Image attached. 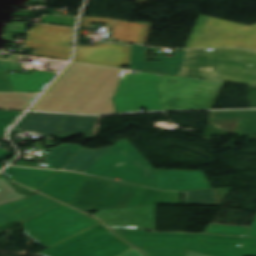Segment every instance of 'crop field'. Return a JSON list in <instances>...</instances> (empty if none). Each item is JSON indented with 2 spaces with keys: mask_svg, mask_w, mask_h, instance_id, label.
I'll list each match as a JSON object with an SVG mask.
<instances>
[{
  "mask_svg": "<svg viewBox=\"0 0 256 256\" xmlns=\"http://www.w3.org/2000/svg\"><path fill=\"white\" fill-rule=\"evenodd\" d=\"M66 115L27 112L13 130L36 131L42 135L61 137L59 127Z\"/></svg>",
  "mask_w": 256,
  "mask_h": 256,
  "instance_id": "733c2abd",
  "label": "crop field"
},
{
  "mask_svg": "<svg viewBox=\"0 0 256 256\" xmlns=\"http://www.w3.org/2000/svg\"><path fill=\"white\" fill-rule=\"evenodd\" d=\"M97 118L96 116L67 115L60 127V130L64 133L61 138L69 137L75 132H84L86 133V138H90Z\"/></svg>",
  "mask_w": 256,
  "mask_h": 256,
  "instance_id": "92a150f3",
  "label": "crop field"
},
{
  "mask_svg": "<svg viewBox=\"0 0 256 256\" xmlns=\"http://www.w3.org/2000/svg\"><path fill=\"white\" fill-rule=\"evenodd\" d=\"M186 256H205V255H201V254H197V253L187 251Z\"/></svg>",
  "mask_w": 256,
  "mask_h": 256,
  "instance_id": "750c4746",
  "label": "crop field"
},
{
  "mask_svg": "<svg viewBox=\"0 0 256 256\" xmlns=\"http://www.w3.org/2000/svg\"><path fill=\"white\" fill-rule=\"evenodd\" d=\"M147 256H185L184 250L142 249Z\"/></svg>",
  "mask_w": 256,
  "mask_h": 256,
  "instance_id": "eef30255",
  "label": "crop field"
},
{
  "mask_svg": "<svg viewBox=\"0 0 256 256\" xmlns=\"http://www.w3.org/2000/svg\"><path fill=\"white\" fill-rule=\"evenodd\" d=\"M84 45L78 43L74 61L115 67L128 65L131 49L129 43L104 40L103 43H97L96 47Z\"/></svg>",
  "mask_w": 256,
  "mask_h": 256,
  "instance_id": "28ad6ade",
  "label": "crop field"
},
{
  "mask_svg": "<svg viewBox=\"0 0 256 256\" xmlns=\"http://www.w3.org/2000/svg\"><path fill=\"white\" fill-rule=\"evenodd\" d=\"M121 256H144V254L140 253L139 251L132 249Z\"/></svg>",
  "mask_w": 256,
  "mask_h": 256,
  "instance_id": "d3111659",
  "label": "crop field"
},
{
  "mask_svg": "<svg viewBox=\"0 0 256 256\" xmlns=\"http://www.w3.org/2000/svg\"><path fill=\"white\" fill-rule=\"evenodd\" d=\"M69 112L87 114L115 113L111 99H91L76 97Z\"/></svg>",
  "mask_w": 256,
  "mask_h": 256,
  "instance_id": "214f88e0",
  "label": "crop field"
},
{
  "mask_svg": "<svg viewBox=\"0 0 256 256\" xmlns=\"http://www.w3.org/2000/svg\"><path fill=\"white\" fill-rule=\"evenodd\" d=\"M62 169L155 188L153 168L126 139L104 149L83 148Z\"/></svg>",
  "mask_w": 256,
  "mask_h": 256,
  "instance_id": "ac0d7876",
  "label": "crop field"
},
{
  "mask_svg": "<svg viewBox=\"0 0 256 256\" xmlns=\"http://www.w3.org/2000/svg\"><path fill=\"white\" fill-rule=\"evenodd\" d=\"M106 229V228H105ZM100 224L39 252L45 256H119L132 249L114 238Z\"/></svg>",
  "mask_w": 256,
  "mask_h": 256,
  "instance_id": "d8731c3e",
  "label": "crop field"
},
{
  "mask_svg": "<svg viewBox=\"0 0 256 256\" xmlns=\"http://www.w3.org/2000/svg\"><path fill=\"white\" fill-rule=\"evenodd\" d=\"M42 150L50 151L49 161L46 168L61 169L82 147L74 144H60L56 148L46 149L42 141L34 143Z\"/></svg>",
  "mask_w": 256,
  "mask_h": 256,
  "instance_id": "dafd665d",
  "label": "crop field"
},
{
  "mask_svg": "<svg viewBox=\"0 0 256 256\" xmlns=\"http://www.w3.org/2000/svg\"><path fill=\"white\" fill-rule=\"evenodd\" d=\"M91 23H107L111 27L112 39L145 44L151 24L124 22L109 19L83 17L81 26L92 27Z\"/></svg>",
  "mask_w": 256,
  "mask_h": 256,
  "instance_id": "5142ce71",
  "label": "crop field"
},
{
  "mask_svg": "<svg viewBox=\"0 0 256 256\" xmlns=\"http://www.w3.org/2000/svg\"><path fill=\"white\" fill-rule=\"evenodd\" d=\"M250 227L208 224L204 233L246 236Z\"/></svg>",
  "mask_w": 256,
  "mask_h": 256,
  "instance_id": "a9b5d70f",
  "label": "crop field"
},
{
  "mask_svg": "<svg viewBox=\"0 0 256 256\" xmlns=\"http://www.w3.org/2000/svg\"><path fill=\"white\" fill-rule=\"evenodd\" d=\"M130 69L256 86V51L241 48L176 51V58L146 62L144 47L132 44Z\"/></svg>",
  "mask_w": 256,
  "mask_h": 256,
  "instance_id": "8a807250",
  "label": "crop field"
},
{
  "mask_svg": "<svg viewBox=\"0 0 256 256\" xmlns=\"http://www.w3.org/2000/svg\"><path fill=\"white\" fill-rule=\"evenodd\" d=\"M124 70L72 63L59 79L108 86L112 98Z\"/></svg>",
  "mask_w": 256,
  "mask_h": 256,
  "instance_id": "d1516ede",
  "label": "crop field"
},
{
  "mask_svg": "<svg viewBox=\"0 0 256 256\" xmlns=\"http://www.w3.org/2000/svg\"><path fill=\"white\" fill-rule=\"evenodd\" d=\"M85 176L58 171L39 191L69 205Z\"/></svg>",
  "mask_w": 256,
  "mask_h": 256,
  "instance_id": "d9b57169",
  "label": "crop field"
},
{
  "mask_svg": "<svg viewBox=\"0 0 256 256\" xmlns=\"http://www.w3.org/2000/svg\"><path fill=\"white\" fill-rule=\"evenodd\" d=\"M73 29L37 25L27 33L25 47L35 48L33 55L69 59Z\"/></svg>",
  "mask_w": 256,
  "mask_h": 256,
  "instance_id": "3316defc",
  "label": "crop field"
},
{
  "mask_svg": "<svg viewBox=\"0 0 256 256\" xmlns=\"http://www.w3.org/2000/svg\"><path fill=\"white\" fill-rule=\"evenodd\" d=\"M25 197L29 196L17 193L7 180L0 175V205Z\"/></svg>",
  "mask_w": 256,
  "mask_h": 256,
  "instance_id": "4177f3b9",
  "label": "crop field"
},
{
  "mask_svg": "<svg viewBox=\"0 0 256 256\" xmlns=\"http://www.w3.org/2000/svg\"><path fill=\"white\" fill-rule=\"evenodd\" d=\"M139 248L185 249L210 256H256V239L112 229ZM242 244L241 248L236 247ZM138 248V249H139Z\"/></svg>",
  "mask_w": 256,
  "mask_h": 256,
  "instance_id": "412701ff",
  "label": "crop field"
},
{
  "mask_svg": "<svg viewBox=\"0 0 256 256\" xmlns=\"http://www.w3.org/2000/svg\"><path fill=\"white\" fill-rule=\"evenodd\" d=\"M156 188L161 190L188 191L211 188L202 171L155 170Z\"/></svg>",
  "mask_w": 256,
  "mask_h": 256,
  "instance_id": "cbeb9de0",
  "label": "crop field"
},
{
  "mask_svg": "<svg viewBox=\"0 0 256 256\" xmlns=\"http://www.w3.org/2000/svg\"><path fill=\"white\" fill-rule=\"evenodd\" d=\"M212 189L185 192L184 204L216 203Z\"/></svg>",
  "mask_w": 256,
  "mask_h": 256,
  "instance_id": "00972430",
  "label": "crop field"
},
{
  "mask_svg": "<svg viewBox=\"0 0 256 256\" xmlns=\"http://www.w3.org/2000/svg\"><path fill=\"white\" fill-rule=\"evenodd\" d=\"M241 46L256 50V25L200 15L184 48Z\"/></svg>",
  "mask_w": 256,
  "mask_h": 256,
  "instance_id": "dd49c442",
  "label": "crop field"
},
{
  "mask_svg": "<svg viewBox=\"0 0 256 256\" xmlns=\"http://www.w3.org/2000/svg\"><path fill=\"white\" fill-rule=\"evenodd\" d=\"M222 85L221 82L202 80L193 95V108L211 109Z\"/></svg>",
  "mask_w": 256,
  "mask_h": 256,
  "instance_id": "bc2a9ffb",
  "label": "crop field"
},
{
  "mask_svg": "<svg viewBox=\"0 0 256 256\" xmlns=\"http://www.w3.org/2000/svg\"><path fill=\"white\" fill-rule=\"evenodd\" d=\"M76 19L77 18L45 16V17H43L42 22L74 27L75 23H76Z\"/></svg>",
  "mask_w": 256,
  "mask_h": 256,
  "instance_id": "730fd06b",
  "label": "crop field"
},
{
  "mask_svg": "<svg viewBox=\"0 0 256 256\" xmlns=\"http://www.w3.org/2000/svg\"><path fill=\"white\" fill-rule=\"evenodd\" d=\"M57 204L59 203L46 196L36 194L30 198L1 205L0 227L15 220L23 222Z\"/></svg>",
  "mask_w": 256,
  "mask_h": 256,
  "instance_id": "22f410ed",
  "label": "crop field"
},
{
  "mask_svg": "<svg viewBox=\"0 0 256 256\" xmlns=\"http://www.w3.org/2000/svg\"><path fill=\"white\" fill-rule=\"evenodd\" d=\"M26 233L40 245L50 248L98 222L59 204L22 223Z\"/></svg>",
  "mask_w": 256,
  "mask_h": 256,
  "instance_id": "f4fd0767",
  "label": "crop field"
},
{
  "mask_svg": "<svg viewBox=\"0 0 256 256\" xmlns=\"http://www.w3.org/2000/svg\"><path fill=\"white\" fill-rule=\"evenodd\" d=\"M239 119L234 134L256 135V110L210 111L208 120Z\"/></svg>",
  "mask_w": 256,
  "mask_h": 256,
  "instance_id": "4a817a6b",
  "label": "crop field"
},
{
  "mask_svg": "<svg viewBox=\"0 0 256 256\" xmlns=\"http://www.w3.org/2000/svg\"><path fill=\"white\" fill-rule=\"evenodd\" d=\"M153 204L180 205V193L160 192L114 180L86 176L70 206L80 211H89Z\"/></svg>",
  "mask_w": 256,
  "mask_h": 256,
  "instance_id": "34b2d1b8",
  "label": "crop field"
},
{
  "mask_svg": "<svg viewBox=\"0 0 256 256\" xmlns=\"http://www.w3.org/2000/svg\"><path fill=\"white\" fill-rule=\"evenodd\" d=\"M75 96L107 98V87L57 80L31 110L67 113Z\"/></svg>",
  "mask_w": 256,
  "mask_h": 256,
  "instance_id": "5a996713",
  "label": "crop field"
},
{
  "mask_svg": "<svg viewBox=\"0 0 256 256\" xmlns=\"http://www.w3.org/2000/svg\"><path fill=\"white\" fill-rule=\"evenodd\" d=\"M247 237L256 238V214H255V217L253 219V222H252V225H251V228L249 230V233H248Z\"/></svg>",
  "mask_w": 256,
  "mask_h": 256,
  "instance_id": "ae1a2a85",
  "label": "crop field"
},
{
  "mask_svg": "<svg viewBox=\"0 0 256 256\" xmlns=\"http://www.w3.org/2000/svg\"><path fill=\"white\" fill-rule=\"evenodd\" d=\"M201 80L163 75L157 89L164 110H193L192 95ZM118 112H134L145 107L139 89L113 99Z\"/></svg>",
  "mask_w": 256,
  "mask_h": 256,
  "instance_id": "e52e79f7",
  "label": "crop field"
}]
</instances>
